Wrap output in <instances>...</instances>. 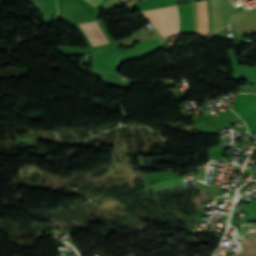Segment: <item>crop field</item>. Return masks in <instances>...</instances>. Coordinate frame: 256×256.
Segmentation results:
<instances>
[{
	"label": "crop field",
	"mask_w": 256,
	"mask_h": 256,
	"mask_svg": "<svg viewBox=\"0 0 256 256\" xmlns=\"http://www.w3.org/2000/svg\"><path fill=\"white\" fill-rule=\"evenodd\" d=\"M88 2H90V1H92L94 4H96V5H99V4H101V2H102V0H87ZM91 3V2H90ZM93 3H91L92 5H94ZM96 5H94V6H96Z\"/></svg>",
	"instance_id": "34b2d1b8"
},
{
	"label": "crop field",
	"mask_w": 256,
	"mask_h": 256,
	"mask_svg": "<svg viewBox=\"0 0 256 256\" xmlns=\"http://www.w3.org/2000/svg\"><path fill=\"white\" fill-rule=\"evenodd\" d=\"M142 14L153 23L163 37L177 34V13L175 6L144 11Z\"/></svg>",
	"instance_id": "8a807250"
},
{
	"label": "crop field",
	"mask_w": 256,
	"mask_h": 256,
	"mask_svg": "<svg viewBox=\"0 0 256 256\" xmlns=\"http://www.w3.org/2000/svg\"><path fill=\"white\" fill-rule=\"evenodd\" d=\"M205 33L210 32L208 0L203 1ZM202 1L196 2L198 34L204 33Z\"/></svg>",
	"instance_id": "ac0d7876"
}]
</instances>
